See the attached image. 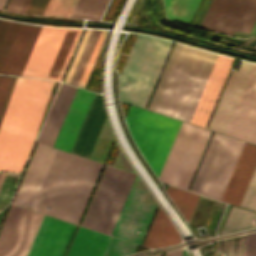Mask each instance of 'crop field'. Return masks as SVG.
<instances>
[{
	"label": "crop field",
	"instance_id": "obj_15",
	"mask_svg": "<svg viewBox=\"0 0 256 256\" xmlns=\"http://www.w3.org/2000/svg\"><path fill=\"white\" fill-rule=\"evenodd\" d=\"M249 0H213L201 27L233 34Z\"/></svg>",
	"mask_w": 256,
	"mask_h": 256
},
{
	"label": "crop field",
	"instance_id": "obj_40",
	"mask_svg": "<svg viewBox=\"0 0 256 256\" xmlns=\"http://www.w3.org/2000/svg\"><path fill=\"white\" fill-rule=\"evenodd\" d=\"M5 175L6 174L2 173L1 176H0V186H1L2 182H3V179H4Z\"/></svg>",
	"mask_w": 256,
	"mask_h": 256
},
{
	"label": "crop field",
	"instance_id": "obj_26",
	"mask_svg": "<svg viewBox=\"0 0 256 256\" xmlns=\"http://www.w3.org/2000/svg\"><path fill=\"white\" fill-rule=\"evenodd\" d=\"M246 237L247 234L218 241L215 256H243Z\"/></svg>",
	"mask_w": 256,
	"mask_h": 256
},
{
	"label": "crop field",
	"instance_id": "obj_1",
	"mask_svg": "<svg viewBox=\"0 0 256 256\" xmlns=\"http://www.w3.org/2000/svg\"><path fill=\"white\" fill-rule=\"evenodd\" d=\"M125 120L139 150L158 176L181 122L132 105ZM211 133L182 122L159 180L187 189Z\"/></svg>",
	"mask_w": 256,
	"mask_h": 256
},
{
	"label": "crop field",
	"instance_id": "obj_4",
	"mask_svg": "<svg viewBox=\"0 0 256 256\" xmlns=\"http://www.w3.org/2000/svg\"><path fill=\"white\" fill-rule=\"evenodd\" d=\"M102 166L58 150L32 209L78 224Z\"/></svg>",
	"mask_w": 256,
	"mask_h": 256
},
{
	"label": "crop field",
	"instance_id": "obj_35",
	"mask_svg": "<svg viewBox=\"0 0 256 256\" xmlns=\"http://www.w3.org/2000/svg\"><path fill=\"white\" fill-rule=\"evenodd\" d=\"M29 0H10L5 11L23 13Z\"/></svg>",
	"mask_w": 256,
	"mask_h": 256
},
{
	"label": "crop field",
	"instance_id": "obj_32",
	"mask_svg": "<svg viewBox=\"0 0 256 256\" xmlns=\"http://www.w3.org/2000/svg\"><path fill=\"white\" fill-rule=\"evenodd\" d=\"M16 79L17 78H14V77L10 78L7 90L5 92V95H4V98H3V101H2V104H1V107H0V125L2 123V120H3V117H4V114H5V111H6L11 93L13 91V88H14V85H15V82H16Z\"/></svg>",
	"mask_w": 256,
	"mask_h": 256
},
{
	"label": "crop field",
	"instance_id": "obj_7",
	"mask_svg": "<svg viewBox=\"0 0 256 256\" xmlns=\"http://www.w3.org/2000/svg\"><path fill=\"white\" fill-rule=\"evenodd\" d=\"M217 56L188 46L159 113L189 123Z\"/></svg>",
	"mask_w": 256,
	"mask_h": 256
},
{
	"label": "crop field",
	"instance_id": "obj_14",
	"mask_svg": "<svg viewBox=\"0 0 256 256\" xmlns=\"http://www.w3.org/2000/svg\"><path fill=\"white\" fill-rule=\"evenodd\" d=\"M233 60L232 58L218 56L190 122L191 124L206 127Z\"/></svg>",
	"mask_w": 256,
	"mask_h": 256
},
{
	"label": "crop field",
	"instance_id": "obj_38",
	"mask_svg": "<svg viewBox=\"0 0 256 256\" xmlns=\"http://www.w3.org/2000/svg\"><path fill=\"white\" fill-rule=\"evenodd\" d=\"M183 250L180 251H174V252H168L165 254V256H181Z\"/></svg>",
	"mask_w": 256,
	"mask_h": 256
},
{
	"label": "crop field",
	"instance_id": "obj_31",
	"mask_svg": "<svg viewBox=\"0 0 256 256\" xmlns=\"http://www.w3.org/2000/svg\"><path fill=\"white\" fill-rule=\"evenodd\" d=\"M239 206L256 212V168Z\"/></svg>",
	"mask_w": 256,
	"mask_h": 256
},
{
	"label": "crop field",
	"instance_id": "obj_36",
	"mask_svg": "<svg viewBox=\"0 0 256 256\" xmlns=\"http://www.w3.org/2000/svg\"><path fill=\"white\" fill-rule=\"evenodd\" d=\"M244 256H256V232L248 234Z\"/></svg>",
	"mask_w": 256,
	"mask_h": 256
},
{
	"label": "crop field",
	"instance_id": "obj_25",
	"mask_svg": "<svg viewBox=\"0 0 256 256\" xmlns=\"http://www.w3.org/2000/svg\"><path fill=\"white\" fill-rule=\"evenodd\" d=\"M182 46L183 45H181V44H177V43L175 44V46L173 48V51H172V53L170 55V58H169V60H168V62L166 64V67H165V69L163 71V74H162V76L160 78V81H159V83L157 85V88H156V90H155V92L153 94V97H152V99L150 101V104H149L147 109L153 110V111L155 110V108L157 106V103H158V101L160 99V96H161L163 90H164V87H165V85L167 83V80H168V78L170 76V73H171V71L173 69V66H174V64H175V62L177 60V57H178V55L180 53V50H181Z\"/></svg>",
	"mask_w": 256,
	"mask_h": 256
},
{
	"label": "crop field",
	"instance_id": "obj_30",
	"mask_svg": "<svg viewBox=\"0 0 256 256\" xmlns=\"http://www.w3.org/2000/svg\"><path fill=\"white\" fill-rule=\"evenodd\" d=\"M255 20H256V0H250V3L236 30L249 33ZM255 31H256V22L250 33L254 34Z\"/></svg>",
	"mask_w": 256,
	"mask_h": 256
},
{
	"label": "crop field",
	"instance_id": "obj_27",
	"mask_svg": "<svg viewBox=\"0 0 256 256\" xmlns=\"http://www.w3.org/2000/svg\"><path fill=\"white\" fill-rule=\"evenodd\" d=\"M77 0H49L42 15L69 17Z\"/></svg>",
	"mask_w": 256,
	"mask_h": 256
},
{
	"label": "crop field",
	"instance_id": "obj_12",
	"mask_svg": "<svg viewBox=\"0 0 256 256\" xmlns=\"http://www.w3.org/2000/svg\"><path fill=\"white\" fill-rule=\"evenodd\" d=\"M56 151V149L37 144L13 204L32 208Z\"/></svg>",
	"mask_w": 256,
	"mask_h": 256
},
{
	"label": "crop field",
	"instance_id": "obj_33",
	"mask_svg": "<svg viewBox=\"0 0 256 256\" xmlns=\"http://www.w3.org/2000/svg\"><path fill=\"white\" fill-rule=\"evenodd\" d=\"M48 0H30L26 10L24 13L33 14V15H41Z\"/></svg>",
	"mask_w": 256,
	"mask_h": 256
},
{
	"label": "crop field",
	"instance_id": "obj_5",
	"mask_svg": "<svg viewBox=\"0 0 256 256\" xmlns=\"http://www.w3.org/2000/svg\"><path fill=\"white\" fill-rule=\"evenodd\" d=\"M255 102L256 65L243 62L232 71L208 128L240 139ZM241 139L256 144V105Z\"/></svg>",
	"mask_w": 256,
	"mask_h": 256
},
{
	"label": "crop field",
	"instance_id": "obj_3",
	"mask_svg": "<svg viewBox=\"0 0 256 256\" xmlns=\"http://www.w3.org/2000/svg\"><path fill=\"white\" fill-rule=\"evenodd\" d=\"M53 83L17 79L0 128V171L21 172Z\"/></svg>",
	"mask_w": 256,
	"mask_h": 256
},
{
	"label": "crop field",
	"instance_id": "obj_18",
	"mask_svg": "<svg viewBox=\"0 0 256 256\" xmlns=\"http://www.w3.org/2000/svg\"><path fill=\"white\" fill-rule=\"evenodd\" d=\"M93 95V93L77 89L54 147L70 151Z\"/></svg>",
	"mask_w": 256,
	"mask_h": 256
},
{
	"label": "crop field",
	"instance_id": "obj_17",
	"mask_svg": "<svg viewBox=\"0 0 256 256\" xmlns=\"http://www.w3.org/2000/svg\"><path fill=\"white\" fill-rule=\"evenodd\" d=\"M105 117L102 96L95 94L70 151L71 153L89 157Z\"/></svg>",
	"mask_w": 256,
	"mask_h": 256
},
{
	"label": "crop field",
	"instance_id": "obj_42",
	"mask_svg": "<svg viewBox=\"0 0 256 256\" xmlns=\"http://www.w3.org/2000/svg\"><path fill=\"white\" fill-rule=\"evenodd\" d=\"M163 254L153 255V256H162Z\"/></svg>",
	"mask_w": 256,
	"mask_h": 256
},
{
	"label": "crop field",
	"instance_id": "obj_11",
	"mask_svg": "<svg viewBox=\"0 0 256 256\" xmlns=\"http://www.w3.org/2000/svg\"><path fill=\"white\" fill-rule=\"evenodd\" d=\"M43 216L12 205L0 232V256H26Z\"/></svg>",
	"mask_w": 256,
	"mask_h": 256
},
{
	"label": "crop field",
	"instance_id": "obj_22",
	"mask_svg": "<svg viewBox=\"0 0 256 256\" xmlns=\"http://www.w3.org/2000/svg\"><path fill=\"white\" fill-rule=\"evenodd\" d=\"M255 225L256 213L233 206L221 234L245 229Z\"/></svg>",
	"mask_w": 256,
	"mask_h": 256
},
{
	"label": "crop field",
	"instance_id": "obj_16",
	"mask_svg": "<svg viewBox=\"0 0 256 256\" xmlns=\"http://www.w3.org/2000/svg\"><path fill=\"white\" fill-rule=\"evenodd\" d=\"M256 165V145L244 143L222 201L239 205Z\"/></svg>",
	"mask_w": 256,
	"mask_h": 256
},
{
	"label": "crop field",
	"instance_id": "obj_39",
	"mask_svg": "<svg viewBox=\"0 0 256 256\" xmlns=\"http://www.w3.org/2000/svg\"><path fill=\"white\" fill-rule=\"evenodd\" d=\"M7 0H0V10L3 9L5 3H6Z\"/></svg>",
	"mask_w": 256,
	"mask_h": 256
},
{
	"label": "crop field",
	"instance_id": "obj_9",
	"mask_svg": "<svg viewBox=\"0 0 256 256\" xmlns=\"http://www.w3.org/2000/svg\"><path fill=\"white\" fill-rule=\"evenodd\" d=\"M80 32L42 26L21 76L60 81Z\"/></svg>",
	"mask_w": 256,
	"mask_h": 256
},
{
	"label": "crop field",
	"instance_id": "obj_8",
	"mask_svg": "<svg viewBox=\"0 0 256 256\" xmlns=\"http://www.w3.org/2000/svg\"><path fill=\"white\" fill-rule=\"evenodd\" d=\"M75 227L45 215L27 256H63ZM109 238L79 226L67 256H102Z\"/></svg>",
	"mask_w": 256,
	"mask_h": 256
},
{
	"label": "crop field",
	"instance_id": "obj_23",
	"mask_svg": "<svg viewBox=\"0 0 256 256\" xmlns=\"http://www.w3.org/2000/svg\"><path fill=\"white\" fill-rule=\"evenodd\" d=\"M109 0H78L70 17L99 20Z\"/></svg>",
	"mask_w": 256,
	"mask_h": 256
},
{
	"label": "crop field",
	"instance_id": "obj_21",
	"mask_svg": "<svg viewBox=\"0 0 256 256\" xmlns=\"http://www.w3.org/2000/svg\"><path fill=\"white\" fill-rule=\"evenodd\" d=\"M200 0H164L167 18L189 23Z\"/></svg>",
	"mask_w": 256,
	"mask_h": 256
},
{
	"label": "crop field",
	"instance_id": "obj_6",
	"mask_svg": "<svg viewBox=\"0 0 256 256\" xmlns=\"http://www.w3.org/2000/svg\"><path fill=\"white\" fill-rule=\"evenodd\" d=\"M173 42L137 35L120 76V100L146 107Z\"/></svg>",
	"mask_w": 256,
	"mask_h": 256
},
{
	"label": "crop field",
	"instance_id": "obj_34",
	"mask_svg": "<svg viewBox=\"0 0 256 256\" xmlns=\"http://www.w3.org/2000/svg\"><path fill=\"white\" fill-rule=\"evenodd\" d=\"M186 47L187 46H183V48H182V50H181V53H180V55H179V57H178V60H177V62H176V64H175V66H174V69H173V71H172V73H171V76H170V78H169V80H168V83H167V85H166V87H165V90H164V92H163V94H162V96H161V99H160V101H159V103H158V106H157V108H156V112H159V110H160V108H161V105H162V103H163V101H164V98H165V96H166V94H167V91H168V89H169V87H170V84H171V82H172V79H173V77H174V75H175V72H176V70H177V68H178V65H179V63H180V61H181V58H182V56H183V54H184V51H185V49H186Z\"/></svg>",
	"mask_w": 256,
	"mask_h": 256
},
{
	"label": "crop field",
	"instance_id": "obj_2",
	"mask_svg": "<svg viewBox=\"0 0 256 256\" xmlns=\"http://www.w3.org/2000/svg\"><path fill=\"white\" fill-rule=\"evenodd\" d=\"M135 176L106 165L81 225L110 235ZM145 192L131 188L112 236L141 243L157 207L141 202Z\"/></svg>",
	"mask_w": 256,
	"mask_h": 256
},
{
	"label": "crop field",
	"instance_id": "obj_37",
	"mask_svg": "<svg viewBox=\"0 0 256 256\" xmlns=\"http://www.w3.org/2000/svg\"><path fill=\"white\" fill-rule=\"evenodd\" d=\"M10 77L0 76V104Z\"/></svg>",
	"mask_w": 256,
	"mask_h": 256
},
{
	"label": "crop field",
	"instance_id": "obj_41",
	"mask_svg": "<svg viewBox=\"0 0 256 256\" xmlns=\"http://www.w3.org/2000/svg\"><path fill=\"white\" fill-rule=\"evenodd\" d=\"M182 256H188L185 250L183 251Z\"/></svg>",
	"mask_w": 256,
	"mask_h": 256
},
{
	"label": "crop field",
	"instance_id": "obj_13",
	"mask_svg": "<svg viewBox=\"0 0 256 256\" xmlns=\"http://www.w3.org/2000/svg\"><path fill=\"white\" fill-rule=\"evenodd\" d=\"M107 31L86 29L65 83L84 87ZM85 88V87H84Z\"/></svg>",
	"mask_w": 256,
	"mask_h": 256
},
{
	"label": "crop field",
	"instance_id": "obj_43",
	"mask_svg": "<svg viewBox=\"0 0 256 256\" xmlns=\"http://www.w3.org/2000/svg\"><path fill=\"white\" fill-rule=\"evenodd\" d=\"M1 174V173H0Z\"/></svg>",
	"mask_w": 256,
	"mask_h": 256
},
{
	"label": "crop field",
	"instance_id": "obj_19",
	"mask_svg": "<svg viewBox=\"0 0 256 256\" xmlns=\"http://www.w3.org/2000/svg\"><path fill=\"white\" fill-rule=\"evenodd\" d=\"M41 26L22 23L1 70L20 76Z\"/></svg>",
	"mask_w": 256,
	"mask_h": 256
},
{
	"label": "crop field",
	"instance_id": "obj_28",
	"mask_svg": "<svg viewBox=\"0 0 256 256\" xmlns=\"http://www.w3.org/2000/svg\"><path fill=\"white\" fill-rule=\"evenodd\" d=\"M20 174H7L0 189V220L9 202Z\"/></svg>",
	"mask_w": 256,
	"mask_h": 256
},
{
	"label": "crop field",
	"instance_id": "obj_24",
	"mask_svg": "<svg viewBox=\"0 0 256 256\" xmlns=\"http://www.w3.org/2000/svg\"><path fill=\"white\" fill-rule=\"evenodd\" d=\"M21 23L0 20V70ZM4 66V65H3ZM1 73V72H0Z\"/></svg>",
	"mask_w": 256,
	"mask_h": 256
},
{
	"label": "crop field",
	"instance_id": "obj_29",
	"mask_svg": "<svg viewBox=\"0 0 256 256\" xmlns=\"http://www.w3.org/2000/svg\"><path fill=\"white\" fill-rule=\"evenodd\" d=\"M136 246V244L111 237L103 256H120L133 253Z\"/></svg>",
	"mask_w": 256,
	"mask_h": 256
},
{
	"label": "crop field",
	"instance_id": "obj_20",
	"mask_svg": "<svg viewBox=\"0 0 256 256\" xmlns=\"http://www.w3.org/2000/svg\"><path fill=\"white\" fill-rule=\"evenodd\" d=\"M76 89L61 83L37 141L53 145Z\"/></svg>",
	"mask_w": 256,
	"mask_h": 256
},
{
	"label": "crop field",
	"instance_id": "obj_10",
	"mask_svg": "<svg viewBox=\"0 0 256 256\" xmlns=\"http://www.w3.org/2000/svg\"><path fill=\"white\" fill-rule=\"evenodd\" d=\"M221 136L213 133L191 191L198 192ZM243 143V141L222 136L198 193L221 199Z\"/></svg>",
	"mask_w": 256,
	"mask_h": 256
}]
</instances>
